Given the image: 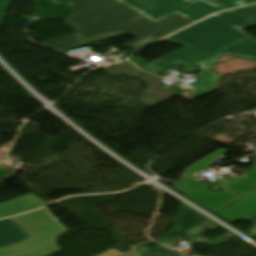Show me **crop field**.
I'll return each instance as SVG.
<instances>
[{"label":"crop field","instance_id":"16","mask_svg":"<svg viewBox=\"0 0 256 256\" xmlns=\"http://www.w3.org/2000/svg\"><path fill=\"white\" fill-rule=\"evenodd\" d=\"M2 17H3V16L0 17V21H1Z\"/></svg>","mask_w":256,"mask_h":256},{"label":"crop field","instance_id":"15","mask_svg":"<svg viewBox=\"0 0 256 256\" xmlns=\"http://www.w3.org/2000/svg\"><path fill=\"white\" fill-rule=\"evenodd\" d=\"M8 174H10V173H8L7 171H5L4 169H2V168L0 167V178L6 176V175H8Z\"/></svg>","mask_w":256,"mask_h":256},{"label":"crop field","instance_id":"5","mask_svg":"<svg viewBox=\"0 0 256 256\" xmlns=\"http://www.w3.org/2000/svg\"><path fill=\"white\" fill-rule=\"evenodd\" d=\"M128 7L157 22L175 12L191 21H197L222 8L205 0H119Z\"/></svg>","mask_w":256,"mask_h":256},{"label":"crop field","instance_id":"12","mask_svg":"<svg viewBox=\"0 0 256 256\" xmlns=\"http://www.w3.org/2000/svg\"><path fill=\"white\" fill-rule=\"evenodd\" d=\"M129 252H131V251H129ZM129 252H127V253H129ZM127 253L122 254V253L112 249V250H110V251H108L106 253H103V254L99 255V256H123V255H125Z\"/></svg>","mask_w":256,"mask_h":256},{"label":"crop field","instance_id":"3","mask_svg":"<svg viewBox=\"0 0 256 256\" xmlns=\"http://www.w3.org/2000/svg\"><path fill=\"white\" fill-rule=\"evenodd\" d=\"M70 5L74 13L67 21L83 38L113 31L143 16L117 0H86Z\"/></svg>","mask_w":256,"mask_h":256},{"label":"crop field","instance_id":"9","mask_svg":"<svg viewBox=\"0 0 256 256\" xmlns=\"http://www.w3.org/2000/svg\"><path fill=\"white\" fill-rule=\"evenodd\" d=\"M139 250L143 252L146 256H182L161 245L155 246L150 249L143 246L139 248Z\"/></svg>","mask_w":256,"mask_h":256},{"label":"crop field","instance_id":"11","mask_svg":"<svg viewBox=\"0 0 256 256\" xmlns=\"http://www.w3.org/2000/svg\"><path fill=\"white\" fill-rule=\"evenodd\" d=\"M245 221L252 223V227L247 228L248 235L256 238V217Z\"/></svg>","mask_w":256,"mask_h":256},{"label":"crop field","instance_id":"7","mask_svg":"<svg viewBox=\"0 0 256 256\" xmlns=\"http://www.w3.org/2000/svg\"><path fill=\"white\" fill-rule=\"evenodd\" d=\"M48 204L43 199L31 193L11 202L0 205V218L33 210Z\"/></svg>","mask_w":256,"mask_h":256},{"label":"crop field","instance_id":"13","mask_svg":"<svg viewBox=\"0 0 256 256\" xmlns=\"http://www.w3.org/2000/svg\"><path fill=\"white\" fill-rule=\"evenodd\" d=\"M10 0H0V15L4 14L6 6L9 5Z\"/></svg>","mask_w":256,"mask_h":256},{"label":"crop field","instance_id":"10","mask_svg":"<svg viewBox=\"0 0 256 256\" xmlns=\"http://www.w3.org/2000/svg\"><path fill=\"white\" fill-rule=\"evenodd\" d=\"M217 5H220L226 9L250 4V3H255L256 0H209Z\"/></svg>","mask_w":256,"mask_h":256},{"label":"crop field","instance_id":"6","mask_svg":"<svg viewBox=\"0 0 256 256\" xmlns=\"http://www.w3.org/2000/svg\"><path fill=\"white\" fill-rule=\"evenodd\" d=\"M199 225H203L204 227L198 230L192 237L189 233L198 227ZM218 228L214 224L210 223L209 221L205 220L204 218L200 217L190 209L186 208L185 206H181L180 215L178 220L170 233V235L158 242L168 245L172 241H181L183 239L190 240L186 246L192 247L196 242L206 244L209 247H216L224 242L231 240L233 235L226 234L223 237H218L212 241L206 242L202 239V236L205 231ZM206 233V232H205Z\"/></svg>","mask_w":256,"mask_h":256},{"label":"crop field","instance_id":"14","mask_svg":"<svg viewBox=\"0 0 256 256\" xmlns=\"http://www.w3.org/2000/svg\"><path fill=\"white\" fill-rule=\"evenodd\" d=\"M49 1L54 3L55 5H59V4L71 3V2L81 1V0H49Z\"/></svg>","mask_w":256,"mask_h":256},{"label":"crop field","instance_id":"4","mask_svg":"<svg viewBox=\"0 0 256 256\" xmlns=\"http://www.w3.org/2000/svg\"><path fill=\"white\" fill-rule=\"evenodd\" d=\"M32 238L14 246L0 248V256H50L60 250L56 238L68 231L45 208L13 217Z\"/></svg>","mask_w":256,"mask_h":256},{"label":"crop field","instance_id":"8","mask_svg":"<svg viewBox=\"0 0 256 256\" xmlns=\"http://www.w3.org/2000/svg\"><path fill=\"white\" fill-rule=\"evenodd\" d=\"M29 237L12 218L0 221V247L17 244Z\"/></svg>","mask_w":256,"mask_h":256},{"label":"crop field","instance_id":"2","mask_svg":"<svg viewBox=\"0 0 256 256\" xmlns=\"http://www.w3.org/2000/svg\"><path fill=\"white\" fill-rule=\"evenodd\" d=\"M191 21L185 19L184 17L178 15L177 13L155 23L145 17L110 33L97 35L89 38L83 39L79 33L61 37L58 39L50 40L47 42L39 43L60 51H65L73 47L129 34L138 39L125 44L126 46L137 50L151 42H154L173 31H176L188 24Z\"/></svg>","mask_w":256,"mask_h":256},{"label":"crop field","instance_id":"1","mask_svg":"<svg viewBox=\"0 0 256 256\" xmlns=\"http://www.w3.org/2000/svg\"><path fill=\"white\" fill-rule=\"evenodd\" d=\"M231 23L240 29L255 26L256 5L215 15L165 39L185 46L141 68L155 74L175 63L194 72L200 66V79L191 90V100L206 95L214 91L221 77L210 71L219 57L229 54L256 60V39Z\"/></svg>","mask_w":256,"mask_h":256}]
</instances>
